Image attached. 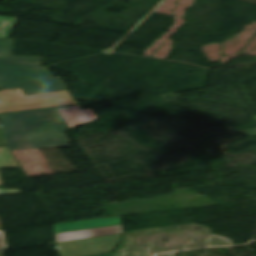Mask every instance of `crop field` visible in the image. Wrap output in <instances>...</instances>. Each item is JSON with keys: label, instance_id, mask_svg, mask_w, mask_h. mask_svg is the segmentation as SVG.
Wrapping results in <instances>:
<instances>
[{"label": "crop field", "instance_id": "8a807250", "mask_svg": "<svg viewBox=\"0 0 256 256\" xmlns=\"http://www.w3.org/2000/svg\"><path fill=\"white\" fill-rule=\"evenodd\" d=\"M1 130L10 150L68 146V127L56 111L38 110L0 115Z\"/></svg>", "mask_w": 256, "mask_h": 256}, {"label": "crop field", "instance_id": "ac0d7876", "mask_svg": "<svg viewBox=\"0 0 256 256\" xmlns=\"http://www.w3.org/2000/svg\"><path fill=\"white\" fill-rule=\"evenodd\" d=\"M14 87H21L26 95L66 89L45 67L0 65V89Z\"/></svg>", "mask_w": 256, "mask_h": 256}, {"label": "crop field", "instance_id": "34b2d1b8", "mask_svg": "<svg viewBox=\"0 0 256 256\" xmlns=\"http://www.w3.org/2000/svg\"><path fill=\"white\" fill-rule=\"evenodd\" d=\"M14 40L0 38L1 65H28L39 66L42 57L12 56Z\"/></svg>", "mask_w": 256, "mask_h": 256}, {"label": "crop field", "instance_id": "412701ff", "mask_svg": "<svg viewBox=\"0 0 256 256\" xmlns=\"http://www.w3.org/2000/svg\"><path fill=\"white\" fill-rule=\"evenodd\" d=\"M57 111L69 129L79 124L92 123L98 119L92 108L81 110L78 105L58 108Z\"/></svg>", "mask_w": 256, "mask_h": 256}, {"label": "crop field", "instance_id": "f4fd0767", "mask_svg": "<svg viewBox=\"0 0 256 256\" xmlns=\"http://www.w3.org/2000/svg\"><path fill=\"white\" fill-rule=\"evenodd\" d=\"M122 233L121 225L55 234V243Z\"/></svg>", "mask_w": 256, "mask_h": 256}, {"label": "crop field", "instance_id": "dd49c442", "mask_svg": "<svg viewBox=\"0 0 256 256\" xmlns=\"http://www.w3.org/2000/svg\"><path fill=\"white\" fill-rule=\"evenodd\" d=\"M14 167H19V165L9 153L7 147H1L0 148V169L14 168ZM0 184H2L1 178H0Z\"/></svg>", "mask_w": 256, "mask_h": 256}, {"label": "crop field", "instance_id": "e52e79f7", "mask_svg": "<svg viewBox=\"0 0 256 256\" xmlns=\"http://www.w3.org/2000/svg\"><path fill=\"white\" fill-rule=\"evenodd\" d=\"M17 18L0 16V37L7 38Z\"/></svg>", "mask_w": 256, "mask_h": 256}, {"label": "crop field", "instance_id": "d8731c3e", "mask_svg": "<svg viewBox=\"0 0 256 256\" xmlns=\"http://www.w3.org/2000/svg\"><path fill=\"white\" fill-rule=\"evenodd\" d=\"M8 248L4 233L0 230V250Z\"/></svg>", "mask_w": 256, "mask_h": 256}, {"label": "crop field", "instance_id": "5a996713", "mask_svg": "<svg viewBox=\"0 0 256 256\" xmlns=\"http://www.w3.org/2000/svg\"><path fill=\"white\" fill-rule=\"evenodd\" d=\"M19 190H0V195L17 194Z\"/></svg>", "mask_w": 256, "mask_h": 256}, {"label": "crop field", "instance_id": "3316defc", "mask_svg": "<svg viewBox=\"0 0 256 256\" xmlns=\"http://www.w3.org/2000/svg\"><path fill=\"white\" fill-rule=\"evenodd\" d=\"M0 229H2L1 224H0Z\"/></svg>", "mask_w": 256, "mask_h": 256}]
</instances>
